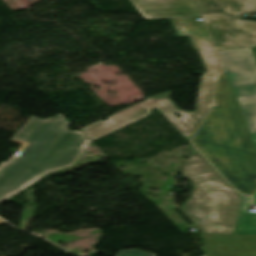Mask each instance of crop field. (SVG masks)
Listing matches in <instances>:
<instances>
[{
    "instance_id": "28ad6ade",
    "label": "crop field",
    "mask_w": 256,
    "mask_h": 256,
    "mask_svg": "<svg viewBox=\"0 0 256 256\" xmlns=\"http://www.w3.org/2000/svg\"><path fill=\"white\" fill-rule=\"evenodd\" d=\"M252 49V51H253V54H254V56H255V59H256V47L255 48H251Z\"/></svg>"
},
{
    "instance_id": "dd49c442",
    "label": "crop field",
    "mask_w": 256,
    "mask_h": 256,
    "mask_svg": "<svg viewBox=\"0 0 256 256\" xmlns=\"http://www.w3.org/2000/svg\"><path fill=\"white\" fill-rule=\"evenodd\" d=\"M248 128L256 133V62L250 48L218 51Z\"/></svg>"
},
{
    "instance_id": "8a807250",
    "label": "crop field",
    "mask_w": 256,
    "mask_h": 256,
    "mask_svg": "<svg viewBox=\"0 0 256 256\" xmlns=\"http://www.w3.org/2000/svg\"><path fill=\"white\" fill-rule=\"evenodd\" d=\"M193 144L239 191L256 190V134H250L225 73L218 76L211 112ZM256 205V193L252 197Z\"/></svg>"
},
{
    "instance_id": "d8731c3e",
    "label": "crop field",
    "mask_w": 256,
    "mask_h": 256,
    "mask_svg": "<svg viewBox=\"0 0 256 256\" xmlns=\"http://www.w3.org/2000/svg\"><path fill=\"white\" fill-rule=\"evenodd\" d=\"M156 108L149 100L142 101L120 113L108 118L107 121L99 120L98 122L88 125L81 131L92 141L107 135L137 119L145 117Z\"/></svg>"
},
{
    "instance_id": "3316defc",
    "label": "crop field",
    "mask_w": 256,
    "mask_h": 256,
    "mask_svg": "<svg viewBox=\"0 0 256 256\" xmlns=\"http://www.w3.org/2000/svg\"><path fill=\"white\" fill-rule=\"evenodd\" d=\"M116 256H156L139 250L120 251Z\"/></svg>"
},
{
    "instance_id": "e52e79f7",
    "label": "crop field",
    "mask_w": 256,
    "mask_h": 256,
    "mask_svg": "<svg viewBox=\"0 0 256 256\" xmlns=\"http://www.w3.org/2000/svg\"><path fill=\"white\" fill-rule=\"evenodd\" d=\"M208 256H256V236L203 234Z\"/></svg>"
},
{
    "instance_id": "5a996713",
    "label": "crop field",
    "mask_w": 256,
    "mask_h": 256,
    "mask_svg": "<svg viewBox=\"0 0 256 256\" xmlns=\"http://www.w3.org/2000/svg\"><path fill=\"white\" fill-rule=\"evenodd\" d=\"M249 200H242L234 234L256 235V213H248Z\"/></svg>"
},
{
    "instance_id": "34b2d1b8",
    "label": "crop field",
    "mask_w": 256,
    "mask_h": 256,
    "mask_svg": "<svg viewBox=\"0 0 256 256\" xmlns=\"http://www.w3.org/2000/svg\"><path fill=\"white\" fill-rule=\"evenodd\" d=\"M146 19H171L178 36H190L195 50L205 64L207 72L202 76L195 112H185L176 107L168 98L172 92L148 98L189 141L198 125L209 111L215 76L222 71L213 45L195 6L194 0H130ZM175 113H181L180 118Z\"/></svg>"
},
{
    "instance_id": "ac0d7876",
    "label": "crop field",
    "mask_w": 256,
    "mask_h": 256,
    "mask_svg": "<svg viewBox=\"0 0 256 256\" xmlns=\"http://www.w3.org/2000/svg\"><path fill=\"white\" fill-rule=\"evenodd\" d=\"M70 122L59 112L55 118L32 116L10 140L23 144L0 170V202L45 174L71 165L89 140L81 131H70ZM3 202V201H2Z\"/></svg>"
},
{
    "instance_id": "412701ff",
    "label": "crop field",
    "mask_w": 256,
    "mask_h": 256,
    "mask_svg": "<svg viewBox=\"0 0 256 256\" xmlns=\"http://www.w3.org/2000/svg\"><path fill=\"white\" fill-rule=\"evenodd\" d=\"M191 151L182 176L191 178L195 189L183 210L203 233L233 234L241 197L193 147Z\"/></svg>"
},
{
    "instance_id": "d1516ede",
    "label": "crop field",
    "mask_w": 256,
    "mask_h": 256,
    "mask_svg": "<svg viewBox=\"0 0 256 256\" xmlns=\"http://www.w3.org/2000/svg\"><path fill=\"white\" fill-rule=\"evenodd\" d=\"M4 223H6V222H4L3 220L0 219V224H4Z\"/></svg>"
},
{
    "instance_id": "cbeb9de0",
    "label": "crop field",
    "mask_w": 256,
    "mask_h": 256,
    "mask_svg": "<svg viewBox=\"0 0 256 256\" xmlns=\"http://www.w3.org/2000/svg\"><path fill=\"white\" fill-rule=\"evenodd\" d=\"M204 256V255H203Z\"/></svg>"
},
{
    "instance_id": "22f410ed",
    "label": "crop field",
    "mask_w": 256,
    "mask_h": 256,
    "mask_svg": "<svg viewBox=\"0 0 256 256\" xmlns=\"http://www.w3.org/2000/svg\"><path fill=\"white\" fill-rule=\"evenodd\" d=\"M4 163H5V161H2V162L0 163V167H1Z\"/></svg>"
},
{
    "instance_id": "f4fd0767",
    "label": "crop field",
    "mask_w": 256,
    "mask_h": 256,
    "mask_svg": "<svg viewBox=\"0 0 256 256\" xmlns=\"http://www.w3.org/2000/svg\"><path fill=\"white\" fill-rule=\"evenodd\" d=\"M217 50L256 46V22L238 14L256 11V0H196Z\"/></svg>"
}]
</instances>
